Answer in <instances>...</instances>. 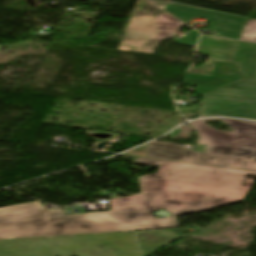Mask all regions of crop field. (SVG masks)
<instances>
[{
  "label": "crop field",
  "instance_id": "7",
  "mask_svg": "<svg viewBox=\"0 0 256 256\" xmlns=\"http://www.w3.org/2000/svg\"><path fill=\"white\" fill-rule=\"evenodd\" d=\"M237 41L202 35L198 43L197 53L215 60L228 61Z\"/></svg>",
  "mask_w": 256,
  "mask_h": 256
},
{
  "label": "crop field",
  "instance_id": "4",
  "mask_svg": "<svg viewBox=\"0 0 256 256\" xmlns=\"http://www.w3.org/2000/svg\"><path fill=\"white\" fill-rule=\"evenodd\" d=\"M183 85H197L201 113L256 119V80L242 79L233 63L217 61L212 76L186 74Z\"/></svg>",
  "mask_w": 256,
  "mask_h": 256
},
{
  "label": "crop field",
  "instance_id": "16",
  "mask_svg": "<svg viewBox=\"0 0 256 256\" xmlns=\"http://www.w3.org/2000/svg\"><path fill=\"white\" fill-rule=\"evenodd\" d=\"M202 115V117H204V116H217V115H207V114H201Z\"/></svg>",
  "mask_w": 256,
  "mask_h": 256
},
{
  "label": "crop field",
  "instance_id": "3",
  "mask_svg": "<svg viewBox=\"0 0 256 256\" xmlns=\"http://www.w3.org/2000/svg\"><path fill=\"white\" fill-rule=\"evenodd\" d=\"M0 256H140L134 232L0 241Z\"/></svg>",
  "mask_w": 256,
  "mask_h": 256
},
{
  "label": "crop field",
  "instance_id": "2",
  "mask_svg": "<svg viewBox=\"0 0 256 256\" xmlns=\"http://www.w3.org/2000/svg\"><path fill=\"white\" fill-rule=\"evenodd\" d=\"M220 120L233 133L218 131L204 123ZM200 135V144L207 145L205 154L189 148L154 141L146 145L148 158L191 162L256 170V122L231 119H202L191 123Z\"/></svg>",
  "mask_w": 256,
  "mask_h": 256
},
{
  "label": "crop field",
  "instance_id": "8",
  "mask_svg": "<svg viewBox=\"0 0 256 256\" xmlns=\"http://www.w3.org/2000/svg\"><path fill=\"white\" fill-rule=\"evenodd\" d=\"M142 256H146L182 237L174 230L136 233Z\"/></svg>",
  "mask_w": 256,
  "mask_h": 256
},
{
  "label": "crop field",
  "instance_id": "15",
  "mask_svg": "<svg viewBox=\"0 0 256 256\" xmlns=\"http://www.w3.org/2000/svg\"><path fill=\"white\" fill-rule=\"evenodd\" d=\"M152 2L157 3L158 6L161 8L165 7V5L167 4L166 2H161V1H157V0H153Z\"/></svg>",
  "mask_w": 256,
  "mask_h": 256
},
{
  "label": "crop field",
  "instance_id": "14",
  "mask_svg": "<svg viewBox=\"0 0 256 256\" xmlns=\"http://www.w3.org/2000/svg\"><path fill=\"white\" fill-rule=\"evenodd\" d=\"M123 155L147 158L145 145L129 152L123 153Z\"/></svg>",
  "mask_w": 256,
  "mask_h": 256
},
{
  "label": "crop field",
  "instance_id": "6",
  "mask_svg": "<svg viewBox=\"0 0 256 256\" xmlns=\"http://www.w3.org/2000/svg\"><path fill=\"white\" fill-rule=\"evenodd\" d=\"M165 10L186 23L193 17H206L208 18L207 31L213 32L217 36L235 40L238 39L247 20L245 17L230 15L176 2H171L166 6Z\"/></svg>",
  "mask_w": 256,
  "mask_h": 256
},
{
  "label": "crop field",
  "instance_id": "9",
  "mask_svg": "<svg viewBox=\"0 0 256 256\" xmlns=\"http://www.w3.org/2000/svg\"><path fill=\"white\" fill-rule=\"evenodd\" d=\"M230 61H234L244 78L256 75V44L239 42Z\"/></svg>",
  "mask_w": 256,
  "mask_h": 256
},
{
  "label": "crop field",
  "instance_id": "12",
  "mask_svg": "<svg viewBox=\"0 0 256 256\" xmlns=\"http://www.w3.org/2000/svg\"><path fill=\"white\" fill-rule=\"evenodd\" d=\"M215 62L216 61H214L213 59L209 58L206 61L205 65H200L198 67L192 66L188 73L211 75Z\"/></svg>",
  "mask_w": 256,
  "mask_h": 256
},
{
  "label": "crop field",
  "instance_id": "17",
  "mask_svg": "<svg viewBox=\"0 0 256 256\" xmlns=\"http://www.w3.org/2000/svg\"><path fill=\"white\" fill-rule=\"evenodd\" d=\"M0 48H1V46H0Z\"/></svg>",
  "mask_w": 256,
  "mask_h": 256
},
{
  "label": "crop field",
  "instance_id": "10",
  "mask_svg": "<svg viewBox=\"0 0 256 256\" xmlns=\"http://www.w3.org/2000/svg\"><path fill=\"white\" fill-rule=\"evenodd\" d=\"M239 40L256 43V20H247Z\"/></svg>",
  "mask_w": 256,
  "mask_h": 256
},
{
  "label": "crop field",
  "instance_id": "13",
  "mask_svg": "<svg viewBox=\"0 0 256 256\" xmlns=\"http://www.w3.org/2000/svg\"><path fill=\"white\" fill-rule=\"evenodd\" d=\"M149 3L148 2H146L145 3V5L142 7V9L141 10H145V8L147 7V5H148ZM163 11L161 10V9H157V8H155L154 6H152L151 4H150V6L147 8V10H146V12H141V11H137L136 12V14H135V16H141V15H143V14H147V15H156V14H160V13H162Z\"/></svg>",
  "mask_w": 256,
  "mask_h": 256
},
{
  "label": "crop field",
  "instance_id": "1",
  "mask_svg": "<svg viewBox=\"0 0 256 256\" xmlns=\"http://www.w3.org/2000/svg\"><path fill=\"white\" fill-rule=\"evenodd\" d=\"M136 164L160 165L140 177L143 194L110 199V211L64 215L46 211L38 201L0 208V240L178 227L175 215L244 200L256 171L138 158ZM171 212L157 219L153 212Z\"/></svg>",
  "mask_w": 256,
  "mask_h": 256
},
{
  "label": "crop field",
  "instance_id": "5",
  "mask_svg": "<svg viewBox=\"0 0 256 256\" xmlns=\"http://www.w3.org/2000/svg\"><path fill=\"white\" fill-rule=\"evenodd\" d=\"M184 25L166 12L132 17L117 49L154 54L163 39H169Z\"/></svg>",
  "mask_w": 256,
  "mask_h": 256
},
{
  "label": "crop field",
  "instance_id": "11",
  "mask_svg": "<svg viewBox=\"0 0 256 256\" xmlns=\"http://www.w3.org/2000/svg\"><path fill=\"white\" fill-rule=\"evenodd\" d=\"M199 33L192 30L191 32L183 35L180 39L173 38L176 44L192 46L194 47L197 41Z\"/></svg>",
  "mask_w": 256,
  "mask_h": 256
}]
</instances>
